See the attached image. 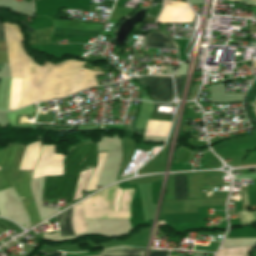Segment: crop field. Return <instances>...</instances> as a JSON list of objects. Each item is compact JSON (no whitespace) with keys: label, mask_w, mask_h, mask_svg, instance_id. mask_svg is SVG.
Returning <instances> with one entry per match:
<instances>
[{"label":"crop field","mask_w":256,"mask_h":256,"mask_svg":"<svg viewBox=\"0 0 256 256\" xmlns=\"http://www.w3.org/2000/svg\"><path fill=\"white\" fill-rule=\"evenodd\" d=\"M3 25L11 77H23L19 107L37 100L65 97L97 85L94 76L103 72L82 68V61L67 60L58 65L44 62L42 67L35 65L23 49L21 28L9 23Z\"/></svg>","instance_id":"1"},{"label":"crop field","mask_w":256,"mask_h":256,"mask_svg":"<svg viewBox=\"0 0 256 256\" xmlns=\"http://www.w3.org/2000/svg\"><path fill=\"white\" fill-rule=\"evenodd\" d=\"M95 143L87 142L67 150L64 176L45 177L43 201L65 199V206L72 204L79 171L95 166Z\"/></svg>","instance_id":"2"},{"label":"crop field","mask_w":256,"mask_h":256,"mask_svg":"<svg viewBox=\"0 0 256 256\" xmlns=\"http://www.w3.org/2000/svg\"><path fill=\"white\" fill-rule=\"evenodd\" d=\"M140 85H148L150 96L159 102H169L173 98L171 77L145 76L136 77Z\"/></svg>","instance_id":"3"},{"label":"crop field","mask_w":256,"mask_h":256,"mask_svg":"<svg viewBox=\"0 0 256 256\" xmlns=\"http://www.w3.org/2000/svg\"><path fill=\"white\" fill-rule=\"evenodd\" d=\"M168 37V36H167ZM162 33L149 32L144 36V46L157 47V48H169L178 50L177 44L167 38Z\"/></svg>","instance_id":"4"},{"label":"crop field","mask_w":256,"mask_h":256,"mask_svg":"<svg viewBox=\"0 0 256 256\" xmlns=\"http://www.w3.org/2000/svg\"><path fill=\"white\" fill-rule=\"evenodd\" d=\"M30 177L31 173L21 172L19 178L11 181L21 199L33 198L28 186Z\"/></svg>","instance_id":"5"},{"label":"crop field","mask_w":256,"mask_h":256,"mask_svg":"<svg viewBox=\"0 0 256 256\" xmlns=\"http://www.w3.org/2000/svg\"><path fill=\"white\" fill-rule=\"evenodd\" d=\"M171 122L148 120L144 135L167 137Z\"/></svg>","instance_id":"6"},{"label":"crop field","mask_w":256,"mask_h":256,"mask_svg":"<svg viewBox=\"0 0 256 256\" xmlns=\"http://www.w3.org/2000/svg\"><path fill=\"white\" fill-rule=\"evenodd\" d=\"M72 209L56 216L61 236L75 235L71 226Z\"/></svg>","instance_id":"7"},{"label":"crop field","mask_w":256,"mask_h":256,"mask_svg":"<svg viewBox=\"0 0 256 256\" xmlns=\"http://www.w3.org/2000/svg\"><path fill=\"white\" fill-rule=\"evenodd\" d=\"M35 31L36 32L29 34V45L51 44L50 37L52 34V28Z\"/></svg>","instance_id":"8"},{"label":"crop field","mask_w":256,"mask_h":256,"mask_svg":"<svg viewBox=\"0 0 256 256\" xmlns=\"http://www.w3.org/2000/svg\"><path fill=\"white\" fill-rule=\"evenodd\" d=\"M17 145L18 144H8L6 148L0 149V166H11Z\"/></svg>","instance_id":"9"},{"label":"crop field","mask_w":256,"mask_h":256,"mask_svg":"<svg viewBox=\"0 0 256 256\" xmlns=\"http://www.w3.org/2000/svg\"><path fill=\"white\" fill-rule=\"evenodd\" d=\"M143 251L124 248L106 249L101 256H142Z\"/></svg>","instance_id":"10"},{"label":"crop field","mask_w":256,"mask_h":256,"mask_svg":"<svg viewBox=\"0 0 256 256\" xmlns=\"http://www.w3.org/2000/svg\"><path fill=\"white\" fill-rule=\"evenodd\" d=\"M175 199H186V175L174 176Z\"/></svg>","instance_id":"11"},{"label":"crop field","mask_w":256,"mask_h":256,"mask_svg":"<svg viewBox=\"0 0 256 256\" xmlns=\"http://www.w3.org/2000/svg\"><path fill=\"white\" fill-rule=\"evenodd\" d=\"M28 215H29V219L31 222V226H34L35 224H37L38 222H40L39 217H38V213L35 207V203L33 199L30 200H24L22 201Z\"/></svg>","instance_id":"12"},{"label":"crop field","mask_w":256,"mask_h":256,"mask_svg":"<svg viewBox=\"0 0 256 256\" xmlns=\"http://www.w3.org/2000/svg\"><path fill=\"white\" fill-rule=\"evenodd\" d=\"M12 185L10 184L9 180L5 176V174L2 172L0 169V190L4 188L11 187Z\"/></svg>","instance_id":"13"},{"label":"crop field","mask_w":256,"mask_h":256,"mask_svg":"<svg viewBox=\"0 0 256 256\" xmlns=\"http://www.w3.org/2000/svg\"><path fill=\"white\" fill-rule=\"evenodd\" d=\"M174 81H175L176 95L178 97L179 91H180L181 82H182V77H174Z\"/></svg>","instance_id":"14"},{"label":"crop field","mask_w":256,"mask_h":256,"mask_svg":"<svg viewBox=\"0 0 256 256\" xmlns=\"http://www.w3.org/2000/svg\"><path fill=\"white\" fill-rule=\"evenodd\" d=\"M167 251H151V256H166Z\"/></svg>","instance_id":"15"},{"label":"crop field","mask_w":256,"mask_h":256,"mask_svg":"<svg viewBox=\"0 0 256 256\" xmlns=\"http://www.w3.org/2000/svg\"><path fill=\"white\" fill-rule=\"evenodd\" d=\"M0 40H4L3 26L1 22H0Z\"/></svg>","instance_id":"16"},{"label":"crop field","mask_w":256,"mask_h":256,"mask_svg":"<svg viewBox=\"0 0 256 256\" xmlns=\"http://www.w3.org/2000/svg\"><path fill=\"white\" fill-rule=\"evenodd\" d=\"M53 256H61V255H60V253H57V254H55V255H53Z\"/></svg>","instance_id":"17"}]
</instances>
